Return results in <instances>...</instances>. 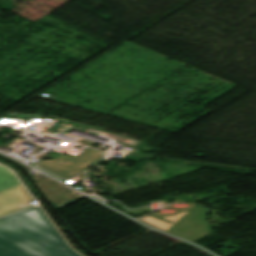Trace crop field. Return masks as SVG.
Here are the masks:
<instances>
[{"label": "crop field", "instance_id": "obj_3", "mask_svg": "<svg viewBox=\"0 0 256 256\" xmlns=\"http://www.w3.org/2000/svg\"><path fill=\"white\" fill-rule=\"evenodd\" d=\"M208 213L205 207L196 205L166 232L192 241L211 231L207 222Z\"/></svg>", "mask_w": 256, "mask_h": 256}, {"label": "crop field", "instance_id": "obj_6", "mask_svg": "<svg viewBox=\"0 0 256 256\" xmlns=\"http://www.w3.org/2000/svg\"><path fill=\"white\" fill-rule=\"evenodd\" d=\"M31 165L36 167V168H38V169H40V170H42V171H44V172H46V173H48V174H50V175H52V176H54V177H56V178H58L59 180H64L62 177H60V176H58V175H56V174H54V173H52V172H50L48 170H46V169L36 165V164H31Z\"/></svg>", "mask_w": 256, "mask_h": 256}, {"label": "crop field", "instance_id": "obj_5", "mask_svg": "<svg viewBox=\"0 0 256 256\" xmlns=\"http://www.w3.org/2000/svg\"><path fill=\"white\" fill-rule=\"evenodd\" d=\"M187 212L184 213H180V214H176V215H172V216H168V217H164L163 219H166L168 221L173 222L172 224L166 223L164 221H161L159 219L153 218L151 216H146L142 219H140L141 221L156 227L158 229H161L163 231H165L166 229H168L171 225H173L177 220H179L183 215H185Z\"/></svg>", "mask_w": 256, "mask_h": 256}, {"label": "crop field", "instance_id": "obj_7", "mask_svg": "<svg viewBox=\"0 0 256 256\" xmlns=\"http://www.w3.org/2000/svg\"><path fill=\"white\" fill-rule=\"evenodd\" d=\"M119 209L124 210V211H128V210H127L126 208H124L123 206L120 207Z\"/></svg>", "mask_w": 256, "mask_h": 256}, {"label": "crop field", "instance_id": "obj_1", "mask_svg": "<svg viewBox=\"0 0 256 256\" xmlns=\"http://www.w3.org/2000/svg\"><path fill=\"white\" fill-rule=\"evenodd\" d=\"M0 256H81L73 251L41 208L0 219Z\"/></svg>", "mask_w": 256, "mask_h": 256}, {"label": "crop field", "instance_id": "obj_4", "mask_svg": "<svg viewBox=\"0 0 256 256\" xmlns=\"http://www.w3.org/2000/svg\"><path fill=\"white\" fill-rule=\"evenodd\" d=\"M102 154L103 153L100 151L87 149L76 159L60 155L54 160H43L37 163L65 178H68L85 170Z\"/></svg>", "mask_w": 256, "mask_h": 256}, {"label": "crop field", "instance_id": "obj_2", "mask_svg": "<svg viewBox=\"0 0 256 256\" xmlns=\"http://www.w3.org/2000/svg\"><path fill=\"white\" fill-rule=\"evenodd\" d=\"M32 196L11 170L0 165V216L31 206Z\"/></svg>", "mask_w": 256, "mask_h": 256}]
</instances>
